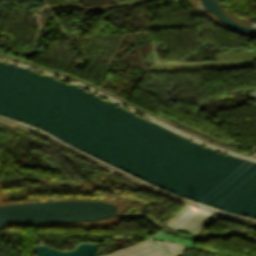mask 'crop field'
I'll return each instance as SVG.
<instances>
[{"instance_id": "crop-field-1", "label": "crop field", "mask_w": 256, "mask_h": 256, "mask_svg": "<svg viewBox=\"0 0 256 256\" xmlns=\"http://www.w3.org/2000/svg\"><path fill=\"white\" fill-rule=\"evenodd\" d=\"M157 246H153V245ZM187 248L174 245L167 242H157L153 240H147L138 244L126 247L116 252L110 253L105 256H177L185 251ZM165 250L166 252H164Z\"/></svg>"}, {"instance_id": "crop-field-2", "label": "crop field", "mask_w": 256, "mask_h": 256, "mask_svg": "<svg viewBox=\"0 0 256 256\" xmlns=\"http://www.w3.org/2000/svg\"><path fill=\"white\" fill-rule=\"evenodd\" d=\"M213 220L212 215L199 213L190 207H186L167 225V227L197 234Z\"/></svg>"}, {"instance_id": "crop-field-3", "label": "crop field", "mask_w": 256, "mask_h": 256, "mask_svg": "<svg viewBox=\"0 0 256 256\" xmlns=\"http://www.w3.org/2000/svg\"><path fill=\"white\" fill-rule=\"evenodd\" d=\"M252 153H255L256 152V148L253 150V151H251Z\"/></svg>"}]
</instances>
